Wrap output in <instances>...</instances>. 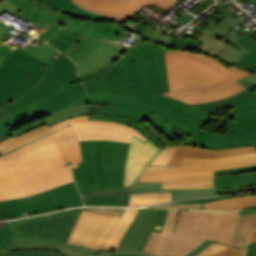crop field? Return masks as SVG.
I'll return each instance as SVG.
<instances>
[{
  "label": "crop field",
  "instance_id": "obj_29",
  "mask_svg": "<svg viewBox=\"0 0 256 256\" xmlns=\"http://www.w3.org/2000/svg\"><path fill=\"white\" fill-rule=\"evenodd\" d=\"M16 48L46 63H48L53 53H55L56 51L44 43L37 48L29 44L21 48L17 45L14 47L0 40V67L16 51Z\"/></svg>",
  "mask_w": 256,
  "mask_h": 256
},
{
  "label": "crop field",
  "instance_id": "obj_55",
  "mask_svg": "<svg viewBox=\"0 0 256 256\" xmlns=\"http://www.w3.org/2000/svg\"><path fill=\"white\" fill-rule=\"evenodd\" d=\"M111 256H152V255L145 254L142 252L112 251Z\"/></svg>",
  "mask_w": 256,
  "mask_h": 256
},
{
  "label": "crop field",
  "instance_id": "obj_50",
  "mask_svg": "<svg viewBox=\"0 0 256 256\" xmlns=\"http://www.w3.org/2000/svg\"><path fill=\"white\" fill-rule=\"evenodd\" d=\"M4 10H6L14 15L22 11L20 8H18L15 4L10 2L9 0L0 1V14Z\"/></svg>",
  "mask_w": 256,
  "mask_h": 256
},
{
  "label": "crop field",
  "instance_id": "obj_43",
  "mask_svg": "<svg viewBox=\"0 0 256 256\" xmlns=\"http://www.w3.org/2000/svg\"><path fill=\"white\" fill-rule=\"evenodd\" d=\"M0 256H62L54 250L12 251L0 249Z\"/></svg>",
  "mask_w": 256,
  "mask_h": 256
},
{
  "label": "crop field",
  "instance_id": "obj_64",
  "mask_svg": "<svg viewBox=\"0 0 256 256\" xmlns=\"http://www.w3.org/2000/svg\"><path fill=\"white\" fill-rule=\"evenodd\" d=\"M9 114L8 112H6L1 106H0V121L2 120H6V118H4L3 116Z\"/></svg>",
  "mask_w": 256,
  "mask_h": 256
},
{
  "label": "crop field",
  "instance_id": "obj_11",
  "mask_svg": "<svg viewBox=\"0 0 256 256\" xmlns=\"http://www.w3.org/2000/svg\"><path fill=\"white\" fill-rule=\"evenodd\" d=\"M138 59L140 56L133 45L106 69L80 80L89 92H117L135 96L129 85L127 66Z\"/></svg>",
  "mask_w": 256,
  "mask_h": 256
},
{
  "label": "crop field",
  "instance_id": "obj_59",
  "mask_svg": "<svg viewBox=\"0 0 256 256\" xmlns=\"http://www.w3.org/2000/svg\"><path fill=\"white\" fill-rule=\"evenodd\" d=\"M246 256H256V242L249 244Z\"/></svg>",
  "mask_w": 256,
  "mask_h": 256
},
{
  "label": "crop field",
  "instance_id": "obj_37",
  "mask_svg": "<svg viewBox=\"0 0 256 256\" xmlns=\"http://www.w3.org/2000/svg\"><path fill=\"white\" fill-rule=\"evenodd\" d=\"M57 82H59V80L54 79V78L46 75L44 80L32 92L27 94L22 99L16 101L15 103L5 107L4 109L7 110L10 113L14 110H17V109L23 107L27 103L33 101L38 95H40L41 93L48 90L50 87H52Z\"/></svg>",
  "mask_w": 256,
  "mask_h": 256
},
{
  "label": "crop field",
  "instance_id": "obj_60",
  "mask_svg": "<svg viewBox=\"0 0 256 256\" xmlns=\"http://www.w3.org/2000/svg\"><path fill=\"white\" fill-rule=\"evenodd\" d=\"M140 124L145 127L147 130H149L152 134H154L157 138H159L163 143H165L166 145L170 144L169 142H167L165 139H163L161 136H159L156 132H154L150 127H148L143 121L140 122ZM164 144V145H165Z\"/></svg>",
  "mask_w": 256,
  "mask_h": 256
},
{
  "label": "crop field",
  "instance_id": "obj_4",
  "mask_svg": "<svg viewBox=\"0 0 256 256\" xmlns=\"http://www.w3.org/2000/svg\"><path fill=\"white\" fill-rule=\"evenodd\" d=\"M168 96L189 104L231 96L246 88L236 81L251 74L200 53L166 49Z\"/></svg>",
  "mask_w": 256,
  "mask_h": 256
},
{
  "label": "crop field",
  "instance_id": "obj_18",
  "mask_svg": "<svg viewBox=\"0 0 256 256\" xmlns=\"http://www.w3.org/2000/svg\"><path fill=\"white\" fill-rule=\"evenodd\" d=\"M123 52L124 49L103 40L87 57L76 62L78 65L79 78L102 70L110 65Z\"/></svg>",
  "mask_w": 256,
  "mask_h": 256
},
{
  "label": "crop field",
  "instance_id": "obj_30",
  "mask_svg": "<svg viewBox=\"0 0 256 256\" xmlns=\"http://www.w3.org/2000/svg\"><path fill=\"white\" fill-rule=\"evenodd\" d=\"M51 115L52 116L50 118H48L44 121L32 124V125H29V126L23 128V129L15 132V133H6V134L0 136V141L3 140V139L9 138L11 136H13V138H14V137L26 132V131H29L33 128L39 127V126L44 125L46 123L50 126L54 123H59L63 120H66V119H69V118H72V117H75V116H78V115H88V113H87L86 104H84V105L68 108V109L53 113Z\"/></svg>",
  "mask_w": 256,
  "mask_h": 256
},
{
  "label": "crop field",
  "instance_id": "obj_45",
  "mask_svg": "<svg viewBox=\"0 0 256 256\" xmlns=\"http://www.w3.org/2000/svg\"><path fill=\"white\" fill-rule=\"evenodd\" d=\"M241 60L233 66H237L243 70H249L256 73V50L241 56Z\"/></svg>",
  "mask_w": 256,
  "mask_h": 256
},
{
  "label": "crop field",
  "instance_id": "obj_56",
  "mask_svg": "<svg viewBox=\"0 0 256 256\" xmlns=\"http://www.w3.org/2000/svg\"><path fill=\"white\" fill-rule=\"evenodd\" d=\"M213 241L205 239L198 247H196L193 251H191L186 256H195L199 252H201L203 249H205L207 246H209Z\"/></svg>",
  "mask_w": 256,
  "mask_h": 256
},
{
  "label": "crop field",
  "instance_id": "obj_58",
  "mask_svg": "<svg viewBox=\"0 0 256 256\" xmlns=\"http://www.w3.org/2000/svg\"><path fill=\"white\" fill-rule=\"evenodd\" d=\"M166 201H130L129 206H142Z\"/></svg>",
  "mask_w": 256,
  "mask_h": 256
},
{
  "label": "crop field",
  "instance_id": "obj_54",
  "mask_svg": "<svg viewBox=\"0 0 256 256\" xmlns=\"http://www.w3.org/2000/svg\"><path fill=\"white\" fill-rule=\"evenodd\" d=\"M10 29H11L10 26L0 23V39L1 40L7 41L11 38L13 34L8 32Z\"/></svg>",
  "mask_w": 256,
  "mask_h": 256
},
{
  "label": "crop field",
  "instance_id": "obj_40",
  "mask_svg": "<svg viewBox=\"0 0 256 256\" xmlns=\"http://www.w3.org/2000/svg\"><path fill=\"white\" fill-rule=\"evenodd\" d=\"M245 248L240 250L214 242L196 256H244Z\"/></svg>",
  "mask_w": 256,
  "mask_h": 256
},
{
  "label": "crop field",
  "instance_id": "obj_57",
  "mask_svg": "<svg viewBox=\"0 0 256 256\" xmlns=\"http://www.w3.org/2000/svg\"><path fill=\"white\" fill-rule=\"evenodd\" d=\"M31 28L37 30L32 36L33 37H36V38H39L41 40H45L47 38V36L50 34V32H47L45 30H42L34 25L31 26Z\"/></svg>",
  "mask_w": 256,
  "mask_h": 256
},
{
  "label": "crop field",
  "instance_id": "obj_19",
  "mask_svg": "<svg viewBox=\"0 0 256 256\" xmlns=\"http://www.w3.org/2000/svg\"><path fill=\"white\" fill-rule=\"evenodd\" d=\"M247 18H245V19H247ZM244 20L241 21L231 14L225 20H223L220 24L213 27L210 31H208L203 36H200L198 38V40H203L204 42L200 45V47L196 50V52L203 53L212 58L217 57L219 55V53L228 44L219 42L216 39L219 38L220 36H222L223 34H225L226 32L230 31L233 27L239 25Z\"/></svg>",
  "mask_w": 256,
  "mask_h": 256
},
{
  "label": "crop field",
  "instance_id": "obj_51",
  "mask_svg": "<svg viewBox=\"0 0 256 256\" xmlns=\"http://www.w3.org/2000/svg\"><path fill=\"white\" fill-rule=\"evenodd\" d=\"M256 34V29L253 30L252 32L248 33L247 35H245L244 37L236 40L239 43H241L243 46H245L247 49H249L250 51L256 49V43H254L249 37Z\"/></svg>",
  "mask_w": 256,
  "mask_h": 256
},
{
  "label": "crop field",
  "instance_id": "obj_14",
  "mask_svg": "<svg viewBox=\"0 0 256 256\" xmlns=\"http://www.w3.org/2000/svg\"><path fill=\"white\" fill-rule=\"evenodd\" d=\"M79 140L110 139L130 143L132 135L144 142L147 139L133 128L110 121H81L71 124Z\"/></svg>",
  "mask_w": 256,
  "mask_h": 256
},
{
  "label": "crop field",
  "instance_id": "obj_8",
  "mask_svg": "<svg viewBox=\"0 0 256 256\" xmlns=\"http://www.w3.org/2000/svg\"><path fill=\"white\" fill-rule=\"evenodd\" d=\"M137 211L125 209L121 217L82 211L68 242L116 250Z\"/></svg>",
  "mask_w": 256,
  "mask_h": 256
},
{
  "label": "crop field",
  "instance_id": "obj_27",
  "mask_svg": "<svg viewBox=\"0 0 256 256\" xmlns=\"http://www.w3.org/2000/svg\"><path fill=\"white\" fill-rule=\"evenodd\" d=\"M156 191H171L172 200L216 195L214 189H168L161 190V183L135 182L131 194Z\"/></svg>",
  "mask_w": 256,
  "mask_h": 256
},
{
  "label": "crop field",
  "instance_id": "obj_47",
  "mask_svg": "<svg viewBox=\"0 0 256 256\" xmlns=\"http://www.w3.org/2000/svg\"><path fill=\"white\" fill-rule=\"evenodd\" d=\"M175 149L176 147H166L157 154L149 165H166Z\"/></svg>",
  "mask_w": 256,
  "mask_h": 256
},
{
  "label": "crop field",
  "instance_id": "obj_39",
  "mask_svg": "<svg viewBox=\"0 0 256 256\" xmlns=\"http://www.w3.org/2000/svg\"><path fill=\"white\" fill-rule=\"evenodd\" d=\"M115 141H106L104 159H103V182L104 187H111V172H112V162H113V154L116 146Z\"/></svg>",
  "mask_w": 256,
  "mask_h": 256
},
{
  "label": "crop field",
  "instance_id": "obj_63",
  "mask_svg": "<svg viewBox=\"0 0 256 256\" xmlns=\"http://www.w3.org/2000/svg\"><path fill=\"white\" fill-rule=\"evenodd\" d=\"M75 182H76V185H77V188H78L80 194L83 195L84 192H83V187H82L81 179L80 178H75Z\"/></svg>",
  "mask_w": 256,
  "mask_h": 256
},
{
  "label": "crop field",
  "instance_id": "obj_53",
  "mask_svg": "<svg viewBox=\"0 0 256 256\" xmlns=\"http://www.w3.org/2000/svg\"><path fill=\"white\" fill-rule=\"evenodd\" d=\"M81 120H89L88 116H79V117H75V118H72V119H69V120H66V121H63L59 124H55L53 126H51V128L56 131L58 130L59 128L65 126V125H68L72 122H76V121H81Z\"/></svg>",
  "mask_w": 256,
  "mask_h": 256
},
{
  "label": "crop field",
  "instance_id": "obj_66",
  "mask_svg": "<svg viewBox=\"0 0 256 256\" xmlns=\"http://www.w3.org/2000/svg\"><path fill=\"white\" fill-rule=\"evenodd\" d=\"M253 241H256V230L254 231V233H253V235H252V237H251L249 243H250V242H253Z\"/></svg>",
  "mask_w": 256,
  "mask_h": 256
},
{
  "label": "crop field",
  "instance_id": "obj_65",
  "mask_svg": "<svg viewBox=\"0 0 256 256\" xmlns=\"http://www.w3.org/2000/svg\"><path fill=\"white\" fill-rule=\"evenodd\" d=\"M13 3H15L18 7H20L22 10H24L26 8V6L22 5L21 2L19 0H10ZM27 1V0H24Z\"/></svg>",
  "mask_w": 256,
  "mask_h": 256
},
{
  "label": "crop field",
  "instance_id": "obj_38",
  "mask_svg": "<svg viewBox=\"0 0 256 256\" xmlns=\"http://www.w3.org/2000/svg\"><path fill=\"white\" fill-rule=\"evenodd\" d=\"M244 36L243 34L228 41L230 45H228L221 53L220 55L216 58V60L227 64L228 66H231L241 58L239 57L240 55H244L247 52H249L246 48H244L242 45H240L238 42L235 40ZM241 49V51H240Z\"/></svg>",
  "mask_w": 256,
  "mask_h": 256
},
{
  "label": "crop field",
  "instance_id": "obj_13",
  "mask_svg": "<svg viewBox=\"0 0 256 256\" xmlns=\"http://www.w3.org/2000/svg\"><path fill=\"white\" fill-rule=\"evenodd\" d=\"M18 16L31 21L34 25L52 32L61 23L68 30L89 37L96 21L80 20L70 15L57 13L51 15L39 4H34Z\"/></svg>",
  "mask_w": 256,
  "mask_h": 256
},
{
  "label": "crop field",
  "instance_id": "obj_69",
  "mask_svg": "<svg viewBox=\"0 0 256 256\" xmlns=\"http://www.w3.org/2000/svg\"><path fill=\"white\" fill-rule=\"evenodd\" d=\"M44 77H45V76H44ZM44 77H43V78H44ZM43 78H42V80H43ZM42 80H41V81H42ZM41 81H40V82H41ZM40 82H39V83H40ZM39 83H38V84H39ZM38 84H37V85H38ZM37 85H36V86H37ZM36 86H35V87H36ZM35 87H34V88H35ZM34 88H33V89H34ZM33 89H32V90H33ZM32 90H31V91H32ZM29 92H30V91H29ZM29 92H28V93H29ZM25 95H26V94H25ZM22 97H23V96H22ZM22 97H21V98H22Z\"/></svg>",
  "mask_w": 256,
  "mask_h": 256
},
{
  "label": "crop field",
  "instance_id": "obj_28",
  "mask_svg": "<svg viewBox=\"0 0 256 256\" xmlns=\"http://www.w3.org/2000/svg\"><path fill=\"white\" fill-rule=\"evenodd\" d=\"M48 68L43 67L39 64L34 63L23 80L26 82L22 83L17 89L8 93L4 97L0 98V105L3 107L6 104L20 98L22 95L31 90L46 74Z\"/></svg>",
  "mask_w": 256,
  "mask_h": 256
},
{
  "label": "crop field",
  "instance_id": "obj_1",
  "mask_svg": "<svg viewBox=\"0 0 256 256\" xmlns=\"http://www.w3.org/2000/svg\"><path fill=\"white\" fill-rule=\"evenodd\" d=\"M153 111L194 132L185 142L172 143L208 149H226L253 145L256 148V93L247 89L228 98L189 105L163 94H156ZM230 106L232 111L223 118L234 134H216L200 130L210 118L207 112ZM191 143V144H190ZM256 169V165L216 171L226 174Z\"/></svg>",
  "mask_w": 256,
  "mask_h": 256
},
{
  "label": "crop field",
  "instance_id": "obj_15",
  "mask_svg": "<svg viewBox=\"0 0 256 256\" xmlns=\"http://www.w3.org/2000/svg\"><path fill=\"white\" fill-rule=\"evenodd\" d=\"M136 46L143 58L152 90L158 93L169 91L165 71V48L146 40Z\"/></svg>",
  "mask_w": 256,
  "mask_h": 256
},
{
  "label": "crop field",
  "instance_id": "obj_41",
  "mask_svg": "<svg viewBox=\"0 0 256 256\" xmlns=\"http://www.w3.org/2000/svg\"><path fill=\"white\" fill-rule=\"evenodd\" d=\"M102 40L83 37L78 46L69 55L75 62L88 55Z\"/></svg>",
  "mask_w": 256,
  "mask_h": 256
},
{
  "label": "crop field",
  "instance_id": "obj_16",
  "mask_svg": "<svg viewBox=\"0 0 256 256\" xmlns=\"http://www.w3.org/2000/svg\"><path fill=\"white\" fill-rule=\"evenodd\" d=\"M158 209H140L118 250L142 251L152 233Z\"/></svg>",
  "mask_w": 256,
  "mask_h": 256
},
{
  "label": "crop field",
  "instance_id": "obj_62",
  "mask_svg": "<svg viewBox=\"0 0 256 256\" xmlns=\"http://www.w3.org/2000/svg\"><path fill=\"white\" fill-rule=\"evenodd\" d=\"M79 256H110V253L99 251L97 254L83 253Z\"/></svg>",
  "mask_w": 256,
  "mask_h": 256
},
{
  "label": "crop field",
  "instance_id": "obj_24",
  "mask_svg": "<svg viewBox=\"0 0 256 256\" xmlns=\"http://www.w3.org/2000/svg\"><path fill=\"white\" fill-rule=\"evenodd\" d=\"M215 185L217 194L254 190L256 188V173L216 177Z\"/></svg>",
  "mask_w": 256,
  "mask_h": 256
},
{
  "label": "crop field",
  "instance_id": "obj_17",
  "mask_svg": "<svg viewBox=\"0 0 256 256\" xmlns=\"http://www.w3.org/2000/svg\"><path fill=\"white\" fill-rule=\"evenodd\" d=\"M160 150L150 141L144 143L133 137L127 159L123 186H131L133 181Z\"/></svg>",
  "mask_w": 256,
  "mask_h": 256
},
{
  "label": "crop field",
  "instance_id": "obj_10",
  "mask_svg": "<svg viewBox=\"0 0 256 256\" xmlns=\"http://www.w3.org/2000/svg\"><path fill=\"white\" fill-rule=\"evenodd\" d=\"M79 205L83 204L73 182L27 198L2 201L0 211L4 219H11L21 217L24 211L35 215Z\"/></svg>",
  "mask_w": 256,
  "mask_h": 256
},
{
  "label": "crop field",
  "instance_id": "obj_42",
  "mask_svg": "<svg viewBox=\"0 0 256 256\" xmlns=\"http://www.w3.org/2000/svg\"><path fill=\"white\" fill-rule=\"evenodd\" d=\"M106 140L96 141L95 147V167H96V175H97V183L98 189H104L102 182V159H103V151Z\"/></svg>",
  "mask_w": 256,
  "mask_h": 256
},
{
  "label": "crop field",
  "instance_id": "obj_5",
  "mask_svg": "<svg viewBox=\"0 0 256 256\" xmlns=\"http://www.w3.org/2000/svg\"><path fill=\"white\" fill-rule=\"evenodd\" d=\"M128 71L130 85L136 97L117 93H86L80 97L68 100L58 106L31 116L21 122L13 120L2 121L0 122V135L34 118L87 102H90V104L87 105L88 110L120 113L133 117L138 121L146 118L174 142L178 141L174 138V134L179 137L183 136L185 138L194 134L162 117L161 115L151 111L155 104V97L153 96V92L150 88L142 59L128 66Z\"/></svg>",
  "mask_w": 256,
  "mask_h": 256
},
{
  "label": "crop field",
  "instance_id": "obj_52",
  "mask_svg": "<svg viewBox=\"0 0 256 256\" xmlns=\"http://www.w3.org/2000/svg\"><path fill=\"white\" fill-rule=\"evenodd\" d=\"M79 209L100 212V213H107V214L117 215V216H121L122 212L124 211V209H114V208H79Z\"/></svg>",
  "mask_w": 256,
  "mask_h": 256
},
{
  "label": "crop field",
  "instance_id": "obj_21",
  "mask_svg": "<svg viewBox=\"0 0 256 256\" xmlns=\"http://www.w3.org/2000/svg\"><path fill=\"white\" fill-rule=\"evenodd\" d=\"M126 23L136 28L137 29L136 33L142 34L143 39H147L149 41L162 44L165 48L180 49V50L195 52L198 46L203 42V41L191 40L186 38H184L183 41H181L176 38L161 34L160 32L152 28H149L148 26L145 27L130 19ZM145 28H147V30H145Z\"/></svg>",
  "mask_w": 256,
  "mask_h": 256
},
{
  "label": "crop field",
  "instance_id": "obj_25",
  "mask_svg": "<svg viewBox=\"0 0 256 256\" xmlns=\"http://www.w3.org/2000/svg\"><path fill=\"white\" fill-rule=\"evenodd\" d=\"M80 145L82 151V163L78 164L84 192L86 194L88 192L98 190L93 164L95 141H80Z\"/></svg>",
  "mask_w": 256,
  "mask_h": 256
},
{
  "label": "crop field",
  "instance_id": "obj_44",
  "mask_svg": "<svg viewBox=\"0 0 256 256\" xmlns=\"http://www.w3.org/2000/svg\"><path fill=\"white\" fill-rule=\"evenodd\" d=\"M34 62H36V61L30 60L28 62V64L25 67L22 68L21 72L19 74H17L16 77L0 90V97L4 96L8 92L12 91L16 87H18L22 82H24L21 79L23 78V76L26 74V72L29 70V68L32 66V64ZM36 63H38V62H36Z\"/></svg>",
  "mask_w": 256,
  "mask_h": 256
},
{
  "label": "crop field",
  "instance_id": "obj_7",
  "mask_svg": "<svg viewBox=\"0 0 256 256\" xmlns=\"http://www.w3.org/2000/svg\"><path fill=\"white\" fill-rule=\"evenodd\" d=\"M256 164V152L220 159L183 158L178 167H146L141 182H162L167 188H213V170Z\"/></svg>",
  "mask_w": 256,
  "mask_h": 256
},
{
  "label": "crop field",
  "instance_id": "obj_2",
  "mask_svg": "<svg viewBox=\"0 0 256 256\" xmlns=\"http://www.w3.org/2000/svg\"><path fill=\"white\" fill-rule=\"evenodd\" d=\"M256 228V213L169 210L162 233L153 232L143 252L184 256L205 238L241 248Z\"/></svg>",
  "mask_w": 256,
  "mask_h": 256
},
{
  "label": "crop field",
  "instance_id": "obj_36",
  "mask_svg": "<svg viewBox=\"0 0 256 256\" xmlns=\"http://www.w3.org/2000/svg\"><path fill=\"white\" fill-rule=\"evenodd\" d=\"M52 7L56 8L60 12L68 13L74 17L80 19L98 20L100 15L86 12L72 3L70 0H41Z\"/></svg>",
  "mask_w": 256,
  "mask_h": 256
},
{
  "label": "crop field",
  "instance_id": "obj_22",
  "mask_svg": "<svg viewBox=\"0 0 256 256\" xmlns=\"http://www.w3.org/2000/svg\"><path fill=\"white\" fill-rule=\"evenodd\" d=\"M65 161L71 162L75 177H80L77 162H81L79 141L71 125L53 133Z\"/></svg>",
  "mask_w": 256,
  "mask_h": 256
},
{
  "label": "crop field",
  "instance_id": "obj_33",
  "mask_svg": "<svg viewBox=\"0 0 256 256\" xmlns=\"http://www.w3.org/2000/svg\"><path fill=\"white\" fill-rule=\"evenodd\" d=\"M53 132V130L46 124L39 128L33 129L15 139L12 137L0 142V153L4 154L11 150H14L20 146H23L35 139L44 137L45 135Z\"/></svg>",
  "mask_w": 256,
  "mask_h": 256
},
{
  "label": "crop field",
  "instance_id": "obj_26",
  "mask_svg": "<svg viewBox=\"0 0 256 256\" xmlns=\"http://www.w3.org/2000/svg\"><path fill=\"white\" fill-rule=\"evenodd\" d=\"M130 188H115L82 196L85 205H127Z\"/></svg>",
  "mask_w": 256,
  "mask_h": 256
},
{
  "label": "crop field",
  "instance_id": "obj_32",
  "mask_svg": "<svg viewBox=\"0 0 256 256\" xmlns=\"http://www.w3.org/2000/svg\"><path fill=\"white\" fill-rule=\"evenodd\" d=\"M30 59L36 60L49 66V64H46L17 50L0 68V88L11 81Z\"/></svg>",
  "mask_w": 256,
  "mask_h": 256
},
{
  "label": "crop field",
  "instance_id": "obj_68",
  "mask_svg": "<svg viewBox=\"0 0 256 256\" xmlns=\"http://www.w3.org/2000/svg\"><path fill=\"white\" fill-rule=\"evenodd\" d=\"M56 58L52 57V59L49 61V64H52L55 61Z\"/></svg>",
  "mask_w": 256,
  "mask_h": 256
},
{
  "label": "crop field",
  "instance_id": "obj_23",
  "mask_svg": "<svg viewBox=\"0 0 256 256\" xmlns=\"http://www.w3.org/2000/svg\"><path fill=\"white\" fill-rule=\"evenodd\" d=\"M135 31L134 28L119 22L117 20L101 16L97 21L94 31L91 35L93 38L105 39L113 44H115L119 39H128V32ZM118 45V44H116ZM124 49L121 45H118Z\"/></svg>",
  "mask_w": 256,
  "mask_h": 256
},
{
  "label": "crop field",
  "instance_id": "obj_31",
  "mask_svg": "<svg viewBox=\"0 0 256 256\" xmlns=\"http://www.w3.org/2000/svg\"><path fill=\"white\" fill-rule=\"evenodd\" d=\"M80 39L81 36L68 31L60 25L44 42L68 55L77 46Z\"/></svg>",
  "mask_w": 256,
  "mask_h": 256
},
{
  "label": "crop field",
  "instance_id": "obj_61",
  "mask_svg": "<svg viewBox=\"0 0 256 256\" xmlns=\"http://www.w3.org/2000/svg\"><path fill=\"white\" fill-rule=\"evenodd\" d=\"M218 198H211V199H201V200H189V201H180L176 203H204L212 200H217Z\"/></svg>",
  "mask_w": 256,
  "mask_h": 256
},
{
  "label": "crop field",
  "instance_id": "obj_12",
  "mask_svg": "<svg viewBox=\"0 0 256 256\" xmlns=\"http://www.w3.org/2000/svg\"><path fill=\"white\" fill-rule=\"evenodd\" d=\"M84 9L94 11L123 22L133 16L144 6L156 5L161 10H166L177 0H73ZM127 8V9H125Z\"/></svg>",
  "mask_w": 256,
  "mask_h": 256
},
{
  "label": "crop field",
  "instance_id": "obj_20",
  "mask_svg": "<svg viewBox=\"0 0 256 256\" xmlns=\"http://www.w3.org/2000/svg\"><path fill=\"white\" fill-rule=\"evenodd\" d=\"M176 146V145H169ZM253 146L249 147H239L227 150L213 151L208 149L190 147V146H178L173 153L167 166H177L180 165L182 157H198V158H220L233 156L238 154H244L249 152H255Z\"/></svg>",
  "mask_w": 256,
  "mask_h": 256
},
{
  "label": "crop field",
  "instance_id": "obj_3",
  "mask_svg": "<svg viewBox=\"0 0 256 256\" xmlns=\"http://www.w3.org/2000/svg\"><path fill=\"white\" fill-rule=\"evenodd\" d=\"M52 134L0 157V201L73 182Z\"/></svg>",
  "mask_w": 256,
  "mask_h": 256
},
{
  "label": "crop field",
  "instance_id": "obj_67",
  "mask_svg": "<svg viewBox=\"0 0 256 256\" xmlns=\"http://www.w3.org/2000/svg\"><path fill=\"white\" fill-rule=\"evenodd\" d=\"M33 41H35V42H37L36 44H35V46L37 47V46H39L42 42H39V41H37V40H35V39H33ZM30 44V43H29Z\"/></svg>",
  "mask_w": 256,
  "mask_h": 256
},
{
  "label": "crop field",
  "instance_id": "obj_35",
  "mask_svg": "<svg viewBox=\"0 0 256 256\" xmlns=\"http://www.w3.org/2000/svg\"><path fill=\"white\" fill-rule=\"evenodd\" d=\"M130 144L118 142L113 163L112 187L122 186L124 169Z\"/></svg>",
  "mask_w": 256,
  "mask_h": 256
},
{
  "label": "crop field",
  "instance_id": "obj_9",
  "mask_svg": "<svg viewBox=\"0 0 256 256\" xmlns=\"http://www.w3.org/2000/svg\"><path fill=\"white\" fill-rule=\"evenodd\" d=\"M47 74L61 81L38 96L32 103L5 116L7 119L21 121L49 107L87 92L76 75V64L62 54L51 65Z\"/></svg>",
  "mask_w": 256,
  "mask_h": 256
},
{
  "label": "crop field",
  "instance_id": "obj_48",
  "mask_svg": "<svg viewBox=\"0 0 256 256\" xmlns=\"http://www.w3.org/2000/svg\"><path fill=\"white\" fill-rule=\"evenodd\" d=\"M239 84L243 85L250 91L256 92V74L253 73L239 81H237Z\"/></svg>",
  "mask_w": 256,
  "mask_h": 256
},
{
  "label": "crop field",
  "instance_id": "obj_34",
  "mask_svg": "<svg viewBox=\"0 0 256 256\" xmlns=\"http://www.w3.org/2000/svg\"><path fill=\"white\" fill-rule=\"evenodd\" d=\"M249 207H256V194L222 199L204 204L205 209L213 210H237Z\"/></svg>",
  "mask_w": 256,
  "mask_h": 256
},
{
  "label": "crop field",
  "instance_id": "obj_49",
  "mask_svg": "<svg viewBox=\"0 0 256 256\" xmlns=\"http://www.w3.org/2000/svg\"><path fill=\"white\" fill-rule=\"evenodd\" d=\"M156 208H180V209H203V204H162L153 206Z\"/></svg>",
  "mask_w": 256,
  "mask_h": 256
},
{
  "label": "crop field",
  "instance_id": "obj_6",
  "mask_svg": "<svg viewBox=\"0 0 256 256\" xmlns=\"http://www.w3.org/2000/svg\"><path fill=\"white\" fill-rule=\"evenodd\" d=\"M81 210L72 209L26 220L5 223L0 230V248L12 250L54 249L63 256L99 250L66 243Z\"/></svg>",
  "mask_w": 256,
  "mask_h": 256
},
{
  "label": "crop field",
  "instance_id": "obj_46",
  "mask_svg": "<svg viewBox=\"0 0 256 256\" xmlns=\"http://www.w3.org/2000/svg\"><path fill=\"white\" fill-rule=\"evenodd\" d=\"M130 200H171L170 192H156L131 195Z\"/></svg>",
  "mask_w": 256,
  "mask_h": 256
}]
</instances>
